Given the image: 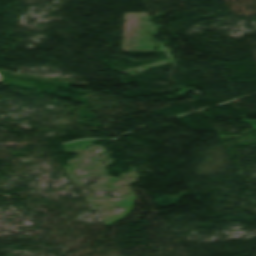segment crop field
<instances>
[{"label": "crop field", "instance_id": "1", "mask_svg": "<svg viewBox=\"0 0 256 256\" xmlns=\"http://www.w3.org/2000/svg\"><path fill=\"white\" fill-rule=\"evenodd\" d=\"M0 82H1V78H0Z\"/></svg>", "mask_w": 256, "mask_h": 256}]
</instances>
